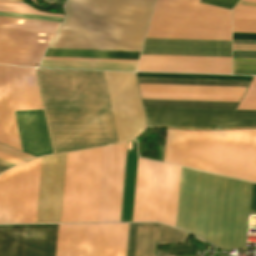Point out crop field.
I'll return each instance as SVG.
<instances>
[{
  "label": "crop field",
  "mask_w": 256,
  "mask_h": 256,
  "mask_svg": "<svg viewBox=\"0 0 256 256\" xmlns=\"http://www.w3.org/2000/svg\"><path fill=\"white\" fill-rule=\"evenodd\" d=\"M244 1H252V2H256V0H244Z\"/></svg>",
  "instance_id": "obj_47"
},
{
  "label": "crop field",
  "mask_w": 256,
  "mask_h": 256,
  "mask_svg": "<svg viewBox=\"0 0 256 256\" xmlns=\"http://www.w3.org/2000/svg\"><path fill=\"white\" fill-rule=\"evenodd\" d=\"M181 168L164 164L158 222L175 227Z\"/></svg>",
  "instance_id": "obj_19"
},
{
  "label": "crop field",
  "mask_w": 256,
  "mask_h": 256,
  "mask_svg": "<svg viewBox=\"0 0 256 256\" xmlns=\"http://www.w3.org/2000/svg\"><path fill=\"white\" fill-rule=\"evenodd\" d=\"M139 84L247 87L249 82L138 78Z\"/></svg>",
  "instance_id": "obj_25"
},
{
  "label": "crop field",
  "mask_w": 256,
  "mask_h": 256,
  "mask_svg": "<svg viewBox=\"0 0 256 256\" xmlns=\"http://www.w3.org/2000/svg\"><path fill=\"white\" fill-rule=\"evenodd\" d=\"M10 167H8V166H5V165H2V164H0V173H2L3 171H5V170H7V169H9Z\"/></svg>",
  "instance_id": "obj_45"
},
{
  "label": "crop field",
  "mask_w": 256,
  "mask_h": 256,
  "mask_svg": "<svg viewBox=\"0 0 256 256\" xmlns=\"http://www.w3.org/2000/svg\"><path fill=\"white\" fill-rule=\"evenodd\" d=\"M233 58H249V59H256V52H249V51H233Z\"/></svg>",
  "instance_id": "obj_38"
},
{
  "label": "crop field",
  "mask_w": 256,
  "mask_h": 256,
  "mask_svg": "<svg viewBox=\"0 0 256 256\" xmlns=\"http://www.w3.org/2000/svg\"><path fill=\"white\" fill-rule=\"evenodd\" d=\"M37 72L54 153L118 143L103 72Z\"/></svg>",
  "instance_id": "obj_1"
},
{
  "label": "crop field",
  "mask_w": 256,
  "mask_h": 256,
  "mask_svg": "<svg viewBox=\"0 0 256 256\" xmlns=\"http://www.w3.org/2000/svg\"><path fill=\"white\" fill-rule=\"evenodd\" d=\"M200 0H156L146 38L231 40V11Z\"/></svg>",
  "instance_id": "obj_5"
},
{
  "label": "crop field",
  "mask_w": 256,
  "mask_h": 256,
  "mask_svg": "<svg viewBox=\"0 0 256 256\" xmlns=\"http://www.w3.org/2000/svg\"><path fill=\"white\" fill-rule=\"evenodd\" d=\"M251 183L182 168L176 227L245 250Z\"/></svg>",
  "instance_id": "obj_2"
},
{
  "label": "crop field",
  "mask_w": 256,
  "mask_h": 256,
  "mask_svg": "<svg viewBox=\"0 0 256 256\" xmlns=\"http://www.w3.org/2000/svg\"><path fill=\"white\" fill-rule=\"evenodd\" d=\"M137 64L42 60L39 68L135 71Z\"/></svg>",
  "instance_id": "obj_22"
},
{
  "label": "crop field",
  "mask_w": 256,
  "mask_h": 256,
  "mask_svg": "<svg viewBox=\"0 0 256 256\" xmlns=\"http://www.w3.org/2000/svg\"><path fill=\"white\" fill-rule=\"evenodd\" d=\"M233 39H250V40H256V34L233 33Z\"/></svg>",
  "instance_id": "obj_40"
},
{
  "label": "crop field",
  "mask_w": 256,
  "mask_h": 256,
  "mask_svg": "<svg viewBox=\"0 0 256 256\" xmlns=\"http://www.w3.org/2000/svg\"><path fill=\"white\" fill-rule=\"evenodd\" d=\"M250 210L256 211V184L252 183Z\"/></svg>",
  "instance_id": "obj_39"
},
{
  "label": "crop field",
  "mask_w": 256,
  "mask_h": 256,
  "mask_svg": "<svg viewBox=\"0 0 256 256\" xmlns=\"http://www.w3.org/2000/svg\"><path fill=\"white\" fill-rule=\"evenodd\" d=\"M128 146H129V143H128ZM129 149H131V142H130V146H129Z\"/></svg>",
  "instance_id": "obj_48"
},
{
  "label": "crop field",
  "mask_w": 256,
  "mask_h": 256,
  "mask_svg": "<svg viewBox=\"0 0 256 256\" xmlns=\"http://www.w3.org/2000/svg\"><path fill=\"white\" fill-rule=\"evenodd\" d=\"M144 106L235 109L237 103L142 100Z\"/></svg>",
  "instance_id": "obj_26"
},
{
  "label": "crop field",
  "mask_w": 256,
  "mask_h": 256,
  "mask_svg": "<svg viewBox=\"0 0 256 256\" xmlns=\"http://www.w3.org/2000/svg\"><path fill=\"white\" fill-rule=\"evenodd\" d=\"M0 16L27 18V19H36V20H46V21H56V22H61V20H62V19H58V18L28 16V15H18V14H8V13H0Z\"/></svg>",
  "instance_id": "obj_35"
},
{
  "label": "crop field",
  "mask_w": 256,
  "mask_h": 256,
  "mask_svg": "<svg viewBox=\"0 0 256 256\" xmlns=\"http://www.w3.org/2000/svg\"><path fill=\"white\" fill-rule=\"evenodd\" d=\"M141 55L231 57V41L146 39ZM141 56L137 71L231 74V58Z\"/></svg>",
  "instance_id": "obj_6"
},
{
  "label": "crop field",
  "mask_w": 256,
  "mask_h": 256,
  "mask_svg": "<svg viewBox=\"0 0 256 256\" xmlns=\"http://www.w3.org/2000/svg\"><path fill=\"white\" fill-rule=\"evenodd\" d=\"M140 52L48 49L45 56L138 60Z\"/></svg>",
  "instance_id": "obj_23"
},
{
  "label": "crop field",
  "mask_w": 256,
  "mask_h": 256,
  "mask_svg": "<svg viewBox=\"0 0 256 256\" xmlns=\"http://www.w3.org/2000/svg\"><path fill=\"white\" fill-rule=\"evenodd\" d=\"M233 74L256 75V60L233 59Z\"/></svg>",
  "instance_id": "obj_31"
},
{
  "label": "crop field",
  "mask_w": 256,
  "mask_h": 256,
  "mask_svg": "<svg viewBox=\"0 0 256 256\" xmlns=\"http://www.w3.org/2000/svg\"><path fill=\"white\" fill-rule=\"evenodd\" d=\"M0 152H3L5 154H8V155L13 156V157L18 158V159H21L23 161L33 159V157H31V156L25 155L23 153H20L18 151H15L13 149L7 148V147L2 146V145H0Z\"/></svg>",
  "instance_id": "obj_33"
},
{
  "label": "crop field",
  "mask_w": 256,
  "mask_h": 256,
  "mask_svg": "<svg viewBox=\"0 0 256 256\" xmlns=\"http://www.w3.org/2000/svg\"><path fill=\"white\" fill-rule=\"evenodd\" d=\"M125 148L103 147L96 222H119Z\"/></svg>",
  "instance_id": "obj_13"
},
{
  "label": "crop field",
  "mask_w": 256,
  "mask_h": 256,
  "mask_svg": "<svg viewBox=\"0 0 256 256\" xmlns=\"http://www.w3.org/2000/svg\"><path fill=\"white\" fill-rule=\"evenodd\" d=\"M149 127L256 128V111L144 107Z\"/></svg>",
  "instance_id": "obj_11"
},
{
  "label": "crop field",
  "mask_w": 256,
  "mask_h": 256,
  "mask_svg": "<svg viewBox=\"0 0 256 256\" xmlns=\"http://www.w3.org/2000/svg\"><path fill=\"white\" fill-rule=\"evenodd\" d=\"M238 5L256 7V3L240 1Z\"/></svg>",
  "instance_id": "obj_44"
},
{
  "label": "crop field",
  "mask_w": 256,
  "mask_h": 256,
  "mask_svg": "<svg viewBox=\"0 0 256 256\" xmlns=\"http://www.w3.org/2000/svg\"><path fill=\"white\" fill-rule=\"evenodd\" d=\"M13 1H21V2H23L22 0H13Z\"/></svg>",
  "instance_id": "obj_49"
},
{
  "label": "crop field",
  "mask_w": 256,
  "mask_h": 256,
  "mask_svg": "<svg viewBox=\"0 0 256 256\" xmlns=\"http://www.w3.org/2000/svg\"><path fill=\"white\" fill-rule=\"evenodd\" d=\"M0 142L7 145L1 115H0Z\"/></svg>",
  "instance_id": "obj_42"
},
{
  "label": "crop field",
  "mask_w": 256,
  "mask_h": 256,
  "mask_svg": "<svg viewBox=\"0 0 256 256\" xmlns=\"http://www.w3.org/2000/svg\"><path fill=\"white\" fill-rule=\"evenodd\" d=\"M138 77L250 81L252 77L137 73Z\"/></svg>",
  "instance_id": "obj_27"
},
{
  "label": "crop field",
  "mask_w": 256,
  "mask_h": 256,
  "mask_svg": "<svg viewBox=\"0 0 256 256\" xmlns=\"http://www.w3.org/2000/svg\"><path fill=\"white\" fill-rule=\"evenodd\" d=\"M162 168L138 159L132 222H157Z\"/></svg>",
  "instance_id": "obj_16"
},
{
  "label": "crop field",
  "mask_w": 256,
  "mask_h": 256,
  "mask_svg": "<svg viewBox=\"0 0 256 256\" xmlns=\"http://www.w3.org/2000/svg\"><path fill=\"white\" fill-rule=\"evenodd\" d=\"M118 141L135 139L145 129V121L134 73L104 72Z\"/></svg>",
  "instance_id": "obj_12"
},
{
  "label": "crop field",
  "mask_w": 256,
  "mask_h": 256,
  "mask_svg": "<svg viewBox=\"0 0 256 256\" xmlns=\"http://www.w3.org/2000/svg\"><path fill=\"white\" fill-rule=\"evenodd\" d=\"M237 109L256 110V77L253 78Z\"/></svg>",
  "instance_id": "obj_30"
},
{
  "label": "crop field",
  "mask_w": 256,
  "mask_h": 256,
  "mask_svg": "<svg viewBox=\"0 0 256 256\" xmlns=\"http://www.w3.org/2000/svg\"><path fill=\"white\" fill-rule=\"evenodd\" d=\"M128 224L59 225L56 256H125Z\"/></svg>",
  "instance_id": "obj_10"
},
{
  "label": "crop field",
  "mask_w": 256,
  "mask_h": 256,
  "mask_svg": "<svg viewBox=\"0 0 256 256\" xmlns=\"http://www.w3.org/2000/svg\"><path fill=\"white\" fill-rule=\"evenodd\" d=\"M136 229H137V224H130L127 256H134Z\"/></svg>",
  "instance_id": "obj_32"
},
{
  "label": "crop field",
  "mask_w": 256,
  "mask_h": 256,
  "mask_svg": "<svg viewBox=\"0 0 256 256\" xmlns=\"http://www.w3.org/2000/svg\"><path fill=\"white\" fill-rule=\"evenodd\" d=\"M155 0H68L50 48L140 51Z\"/></svg>",
  "instance_id": "obj_3"
},
{
  "label": "crop field",
  "mask_w": 256,
  "mask_h": 256,
  "mask_svg": "<svg viewBox=\"0 0 256 256\" xmlns=\"http://www.w3.org/2000/svg\"><path fill=\"white\" fill-rule=\"evenodd\" d=\"M141 96L240 99L242 95L140 92Z\"/></svg>",
  "instance_id": "obj_29"
},
{
  "label": "crop field",
  "mask_w": 256,
  "mask_h": 256,
  "mask_svg": "<svg viewBox=\"0 0 256 256\" xmlns=\"http://www.w3.org/2000/svg\"><path fill=\"white\" fill-rule=\"evenodd\" d=\"M0 110L8 145L22 151L4 66H0Z\"/></svg>",
  "instance_id": "obj_21"
},
{
  "label": "crop field",
  "mask_w": 256,
  "mask_h": 256,
  "mask_svg": "<svg viewBox=\"0 0 256 256\" xmlns=\"http://www.w3.org/2000/svg\"><path fill=\"white\" fill-rule=\"evenodd\" d=\"M142 99H158V100H190V101H222V102H239V100L224 99H190V98H157V97H141Z\"/></svg>",
  "instance_id": "obj_34"
},
{
  "label": "crop field",
  "mask_w": 256,
  "mask_h": 256,
  "mask_svg": "<svg viewBox=\"0 0 256 256\" xmlns=\"http://www.w3.org/2000/svg\"><path fill=\"white\" fill-rule=\"evenodd\" d=\"M187 236L188 233L161 224H138L135 256H154L155 242L184 243Z\"/></svg>",
  "instance_id": "obj_18"
},
{
  "label": "crop field",
  "mask_w": 256,
  "mask_h": 256,
  "mask_svg": "<svg viewBox=\"0 0 256 256\" xmlns=\"http://www.w3.org/2000/svg\"><path fill=\"white\" fill-rule=\"evenodd\" d=\"M233 50H249V51H256V46H250V45H233Z\"/></svg>",
  "instance_id": "obj_41"
},
{
  "label": "crop field",
  "mask_w": 256,
  "mask_h": 256,
  "mask_svg": "<svg viewBox=\"0 0 256 256\" xmlns=\"http://www.w3.org/2000/svg\"><path fill=\"white\" fill-rule=\"evenodd\" d=\"M0 163L5 164V165H8V166H10V167L15 166V165L10 164V163H8V162H5V161H3V160H0Z\"/></svg>",
  "instance_id": "obj_46"
},
{
  "label": "crop field",
  "mask_w": 256,
  "mask_h": 256,
  "mask_svg": "<svg viewBox=\"0 0 256 256\" xmlns=\"http://www.w3.org/2000/svg\"><path fill=\"white\" fill-rule=\"evenodd\" d=\"M41 157L26 163L21 223H35Z\"/></svg>",
  "instance_id": "obj_20"
},
{
  "label": "crop field",
  "mask_w": 256,
  "mask_h": 256,
  "mask_svg": "<svg viewBox=\"0 0 256 256\" xmlns=\"http://www.w3.org/2000/svg\"><path fill=\"white\" fill-rule=\"evenodd\" d=\"M164 162L256 182V130H167Z\"/></svg>",
  "instance_id": "obj_4"
},
{
  "label": "crop field",
  "mask_w": 256,
  "mask_h": 256,
  "mask_svg": "<svg viewBox=\"0 0 256 256\" xmlns=\"http://www.w3.org/2000/svg\"><path fill=\"white\" fill-rule=\"evenodd\" d=\"M101 152L67 153L61 223L95 222Z\"/></svg>",
  "instance_id": "obj_7"
},
{
  "label": "crop field",
  "mask_w": 256,
  "mask_h": 256,
  "mask_svg": "<svg viewBox=\"0 0 256 256\" xmlns=\"http://www.w3.org/2000/svg\"><path fill=\"white\" fill-rule=\"evenodd\" d=\"M58 25L56 22L0 17V34L52 39ZM6 35H0V64L36 67L50 42Z\"/></svg>",
  "instance_id": "obj_9"
},
{
  "label": "crop field",
  "mask_w": 256,
  "mask_h": 256,
  "mask_svg": "<svg viewBox=\"0 0 256 256\" xmlns=\"http://www.w3.org/2000/svg\"><path fill=\"white\" fill-rule=\"evenodd\" d=\"M15 111L43 110L34 69L5 66ZM22 149L52 154L43 111L15 112Z\"/></svg>",
  "instance_id": "obj_8"
},
{
  "label": "crop field",
  "mask_w": 256,
  "mask_h": 256,
  "mask_svg": "<svg viewBox=\"0 0 256 256\" xmlns=\"http://www.w3.org/2000/svg\"><path fill=\"white\" fill-rule=\"evenodd\" d=\"M239 0H203L204 3L213 4L232 9Z\"/></svg>",
  "instance_id": "obj_36"
},
{
  "label": "crop field",
  "mask_w": 256,
  "mask_h": 256,
  "mask_svg": "<svg viewBox=\"0 0 256 256\" xmlns=\"http://www.w3.org/2000/svg\"><path fill=\"white\" fill-rule=\"evenodd\" d=\"M25 163L0 175V224L20 223Z\"/></svg>",
  "instance_id": "obj_17"
},
{
  "label": "crop field",
  "mask_w": 256,
  "mask_h": 256,
  "mask_svg": "<svg viewBox=\"0 0 256 256\" xmlns=\"http://www.w3.org/2000/svg\"><path fill=\"white\" fill-rule=\"evenodd\" d=\"M66 153L42 157L36 223H60Z\"/></svg>",
  "instance_id": "obj_15"
},
{
  "label": "crop field",
  "mask_w": 256,
  "mask_h": 256,
  "mask_svg": "<svg viewBox=\"0 0 256 256\" xmlns=\"http://www.w3.org/2000/svg\"><path fill=\"white\" fill-rule=\"evenodd\" d=\"M233 19H250V20H256V16H250V15H233Z\"/></svg>",
  "instance_id": "obj_43"
},
{
  "label": "crop field",
  "mask_w": 256,
  "mask_h": 256,
  "mask_svg": "<svg viewBox=\"0 0 256 256\" xmlns=\"http://www.w3.org/2000/svg\"><path fill=\"white\" fill-rule=\"evenodd\" d=\"M0 12L63 18V15L39 12L25 4H18V3L6 2L1 0H0Z\"/></svg>",
  "instance_id": "obj_28"
},
{
  "label": "crop field",
  "mask_w": 256,
  "mask_h": 256,
  "mask_svg": "<svg viewBox=\"0 0 256 256\" xmlns=\"http://www.w3.org/2000/svg\"><path fill=\"white\" fill-rule=\"evenodd\" d=\"M140 91L243 94L245 88L139 85Z\"/></svg>",
  "instance_id": "obj_24"
},
{
  "label": "crop field",
  "mask_w": 256,
  "mask_h": 256,
  "mask_svg": "<svg viewBox=\"0 0 256 256\" xmlns=\"http://www.w3.org/2000/svg\"><path fill=\"white\" fill-rule=\"evenodd\" d=\"M233 14H250L256 15V8L236 6L233 9Z\"/></svg>",
  "instance_id": "obj_37"
},
{
  "label": "crop field",
  "mask_w": 256,
  "mask_h": 256,
  "mask_svg": "<svg viewBox=\"0 0 256 256\" xmlns=\"http://www.w3.org/2000/svg\"><path fill=\"white\" fill-rule=\"evenodd\" d=\"M25 225L0 226V256H22ZM58 225H26L23 256H55Z\"/></svg>",
  "instance_id": "obj_14"
}]
</instances>
